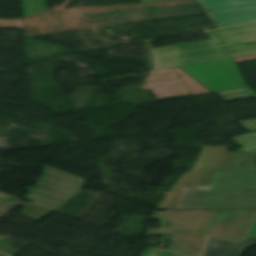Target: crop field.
<instances>
[{
  "label": "crop field",
  "mask_w": 256,
  "mask_h": 256,
  "mask_svg": "<svg viewBox=\"0 0 256 256\" xmlns=\"http://www.w3.org/2000/svg\"><path fill=\"white\" fill-rule=\"evenodd\" d=\"M256 243V237L233 244L216 239H209L204 256H241L244 248Z\"/></svg>",
  "instance_id": "crop-field-8"
},
{
  "label": "crop field",
  "mask_w": 256,
  "mask_h": 256,
  "mask_svg": "<svg viewBox=\"0 0 256 256\" xmlns=\"http://www.w3.org/2000/svg\"><path fill=\"white\" fill-rule=\"evenodd\" d=\"M254 236H256V220H255V222H254V225H253V228H252V230H251V233H250L249 238L254 237ZM249 238H248V239H249Z\"/></svg>",
  "instance_id": "crop-field-17"
},
{
  "label": "crop field",
  "mask_w": 256,
  "mask_h": 256,
  "mask_svg": "<svg viewBox=\"0 0 256 256\" xmlns=\"http://www.w3.org/2000/svg\"><path fill=\"white\" fill-rule=\"evenodd\" d=\"M181 68L213 92L246 87L232 58Z\"/></svg>",
  "instance_id": "crop-field-6"
},
{
  "label": "crop field",
  "mask_w": 256,
  "mask_h": 256,
  "mask_svg": "<svg viewBox=\"0 0 256 256\" xmlns=\"http://www.w3.org/2000/svg\"><path fill=\"white\" fill-rule=\"evenodd\" d=\"M215 94L225 101L256 97V93L249 87L216 92Z\"/></svg>",
  "instance_id": "crop-field-12"
},
{
  "label": "crop field",
  "mask_w": 256,
  "mask_h": 256,
  "mask_svg": "<svg viewBox=\"0 0 256 256\" xmlns=\"http://www.w3.org/2000/svg\"><path fill=\"white\" fill-rule=\"evenodd\" d=\"M232 140L242 146L239 151L256 152V133L245 134Z\"/></svg>",
  "instance_id": "crop-field-13"
},
{
  "label": "crop field",
  "mask_w": 256,
  "mask_h": 256,
  "mask_svg": "<svg viewBox=\"0 0 256 256\" xmlns=\"http://www.w3.org/2000/svg\"><path fill=\"white\" fill-rule=\"evenodd\" d=\"M218 28L256 22V9L208 15Z\"/></svg>",
  "instance_id": "crop-field-10"
},
{
  "label": "crop field",
  "mask_w": 256,
  "mask_h": 256,
  "mask_svg": "<svg viewBox=\"0 0 256 256\" xmlns=\"http://www.w3.org/2000/svg\"><path fill=\"white\" fill-rule=\"evenodd\" d=\"M228 148L205 147L195 169L184 176L158 208H175L185 187L208 188Z\"/></svg>",
  "instance_id": "crop-field-5"
},
{
  "label": "crop field",
  "mask_w": 256,
  "mask_h": 256,
  "mask_svg": "<svg viewBox=\"0 0 256 256\" xmlns=\"http://www.w3.org/2000/svg\"><path fill=\"white\" fill-rule=\"evenodd\" d=\"M44 172L36 187L25 189L29 191L26 200L33 204L56 211L84 188L83 178L49 166L44 168Z\"/></svg>",
  "instance_id": "crop-field-4"
},
{
  "label": "crop field",
  "mask_w": 256,
  "mask_h": 256,
  "mask_svg": "<svg viewBox=\"0 0 256 256\" xmlns=\"http://www.w3.org/2000/svg\"><path fill=\"white\" fill-rule=\"evenodd\" d=\"M207 229H149L147 235H170L166 250L184 255L200 256Z\"/></svg>",
  "instance_id": "crop-field-7"
},
{
  "label": "crop field",
  "mask_w": 256,
  "mask_h": 256,
  "mask_svg": "<svg viewBox=\"0 0 256 256\" xmlns=\"http://www.w3.org/2000/svg\"><path fill=\"white\" fill-rule=\"evenodd\" d=\"M210 34L213 40L153 49L155 69L256 53V24Z\"/></svg>",
  "instance_id": "crop-field-1"
},
{
  "label": "crop field",
  "mask_w": 256,
  "mask_h": 256,
  "mask_svg": "<svg viewBox=\"0 0 256 256\" xmlns=\"http://www.w3.org/2000/svg\"><path fill=\"white\" fill-rule=\"evenodd\" d=\"M144 2H151V1H164V0H143Z\"/></svg>",
  "instance_id": "crop-field-18"
},
{
  "label": "crop field",
  "mask_w": 256,
  "mask_h": 256,
  "mask_svg": "<svg viewBox=\"0 0 256 256\" xmlns=\"http://www.w3.org/2000/svg\"><path fill=\"white\" fill-rule=\"evenodd\" d=\"M176 208H256V174L217 170L209 189L186 188Z\"/></svg>",
  "instance_id": "crop-field-2"
},
{
  "label": "crop field",
  "mask_w": 256,
  "mask_h": 256,
  "mask_svg": "<svg viewBox=\"0 0 256 256\" xmlns=\"http://www.w3.org/2000/svg\"><path fill=\"white\" fill-rule=\"evenodd\" d=\"M243 162L242 168L240 164ZM220 170L256 172V154L228 152Z\"/></svg>",
  "instance_id": "crop-field-11"
},
{
  "label": "crop field",
  "mask_w": 256,
  "mask_h": 256,
  "mask_svg": "<svg viewBox=\"0 0 256 256\" xmlns=\"http://www.w3.org/2000/svg\"><path fill=\"white\" fill-rule=\"evenodd\" d=\"M142 256H177L168 252H165L163 250L150 247L147 251H145Z\"/></svg>",
  "instance_id": "crop-field-15"
},
{
  "label": "crop field",
  "mask_w": 256,
  "mask_h": 256,
  "mask_svg": "<svg viewBox=\"0 0 256 256\" xmlns=\"http://www.w3.org/2000/svg\"><path fill=\"white\" fill-rule=\"evenodd\" d=\"M256 211H167L154 212L161 228H207L208 237L238 243L249 236Z\"/></svg>",
  "instance_id": "crop-field-3"
},
{
  "label": "crop field",
  "mask_w": 256,
  "mask_h": 256,
  "mask_svg": "<svg viewBox=\"0 0 256 256\" xmlns=\"http://www.w3.org/2000/svg\"><path fill=\"white\" fill-rule=\"evenodd\" d=\"M240 123L243 127H245L250 132L256 130V119L254 120H247V121H240Z\"/></svg>",
  "instance_id": "crop-field-16"
},
{
  "label": "crop field",
  "mask_w": 256,
  "mask_h": 256,
  "mask_svg": "<svg viewBox=\"0 0 256 256\" xmlns=\"http://www.w3.org/2000/svg\"><path fill=\"white\" fill-rule=\"evenodd\" d=\"M19 205L26 207L22 212L23 215L29 216L37 220L53 212L30 203L20 202Z\"/></svg>",
  "instance_id": "crop-field-14"
},
{
  "label": "crop field",
  "mask_w": 256,
  "mask_h": 256,
  "mask_svg": "<svg viewBox=\"0 0 256 256\" xmlns=\"http://www.w3.org/2000/svg\"><path fill=\"white\" fill-rule=\"evenodd\" d=\"M207 14L256 8V0H196Z\"/></svg>",
  "instance_id": "crop-field-9"
}]
</instances>
